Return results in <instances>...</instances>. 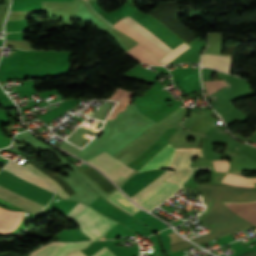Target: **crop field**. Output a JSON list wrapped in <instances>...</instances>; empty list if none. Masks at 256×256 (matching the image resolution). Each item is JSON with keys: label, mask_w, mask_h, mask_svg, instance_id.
Returning a JSON list of instances; mask_svg holds the SVG:
<instances>
[{"label": "crop field", "mask_w": 256, "mask_h": 256, "mask_svg": "<svg viewBox=\"0 0 256 256\" xmlns=\"http://www.w3.org/2000/svg\"><path fill=\"white\" fill-rule=\"evenodd\" d=\"M197 190L204 197L203 202L207 205V209L198 220L212 233L190 239L191 241L199 244L254 226L235 215L222 202L256 201V188L199 184Z\"/></svg>", "instance_id": "8a807250"}, {"label": "crop field", "mask_w": 256, "mask_h": 256, "mask_svg": "<svg viewBox=\"0 0 256 256\" xmlns=\"http://www.w3.org/2000/svg\"><path fill=\"white\" fill-rule=\"evenodd\" d=\"M3 170H5L11 174H14L22 179H25L31 183H34V184L54 193V190L50 186H48L46 183H44L42 180H40L34 174H32L25 168L15 164L11 161L3 168ZM0 198L4 199L12 204H15L23 209H26L34 214H37L40 210H42L44 208V206H42L38 203H35L27 198H24L18 194H15L1 186H0Z\"/></svg>", "instance_id": "ac0d7876"}, {"label": "crop field", "mask_w": 256, "mask_h": 256, "mask_svg": "<svg viewBox=\"0 0 256 256\" xmlns=\"http://www.w3.org/2000/svg\"><path fill=\"white\" fill-rule=\"evenodd\" d=\"M72 221L78 224L81 231L87 234L91 240L100 239L110 228L118 223L88 206Z\"/></svg>", "instance_id": "34b2d1b8"}, {"label": "crop field", "mask_w": 256, "mask_h": 256, "mask_svg": "<svg viewBox=\"0 0 256 256\" xmlns=\"http://www.w3.org/2000/svg\"><path fill=\"white\" fill-rule=\"evenodd\" d=\"M94 166L98 167L105 174H107L115 183L122 180L126 175L133 170L127 168L121 161L113 158L111 155L103 152L89 161Z\"/></svg>", "instance_id": "412701ff"}, {"label": "crop field", "mask_w": 256, "mask_h": 256, "mask_svg": "<svg viewBox=\"0 0 256 256\" xmlns=\"http://www.w3.org/2000/svg\"><path fill=\"white\" fill-rule=\"evenodd\" d=\"M121 21L125 22L126 24L133 27L135 30H137L139 33H141L144 37H146L149 41H151L153 44L158 46L160 49H162L167 54L160 59V62L163 65H166L171 60H173L175 57H177L179 54H181L183 51H185L188 46L186 43L181 44L180 46L176 47L175 49L169 48L167 45H165L162 41H160L158 38H156L154 35H152L150 32H148L144 27H142L139 23L132 20L128 16L120 19Z\"/></svg>", "instance_id": "f4fd0767"}, {"label": "crop field", "mask_w": 256, "mask_h": 256, "mask_svg": "<svg viewBox=\"0 0 256 256\" xmlns=\"http://www.w3.org/2000/svg\"><path fill=\"white\" fill-rule=\"evenodd\" d=\"M180 188H182V186L163 181L156 188H154L152 191H150L148 194L138 200L137 203L144 208L150 210L168 197H170Z\"/></svg>", "instance_id": "dd49c442"}, {"label": "crop field", "mask_w": 256, "mask_h": 256, "mask_svg": "<svg viewBox=\"0 0 256 256\" xmlns=\"http://www.w3.org/2000/svg\"><path fill=\"white\" fill-rule=\"evenodd\" d=\"M62 244L63 243L60 242L50 243L35 251L30 256H51ZM88 244L89 242L65 243L53 254V256H66L68 253L84 248Z\"/></svg>", "instance_id": "e52e79f7"}, {"label": "crop field", "mask_w": 256, "mask_h": 256, "mask_svg": "<svg viewBox=\"0 0 256 256\" xmlns=\"http://www.w3.org/2000/svg\"><path fill=\"white\" fill-rule=\"evenodd\" d=\"M113 26L121 30L122 32L126 33L127 35L131 36L133 39H135L137 42H139L141 45H143L145 48L151 51L158 59L166 54L162 50L157 48L155 45H153L151 42H149L137 31H135L133 28L124 24L123 22L118 20Z\"/></svg>", "instance_id": "d8731c3e"}, {"label": "crop field", "mask_w": 256, "mask_h": 256, "mask_svg": "<svg viewBox=\"0 0 256 256\" xmlns=\"http://www.w3.org/2000/svg\"><path fill=\"white\" fill-rule=\"evenodd\" d=\"M175 149L176 148H172L168 143L144 167H142L139 170V172L158 168V167H168Z\"/></svg>", "instance_id": "5a996713"}, {"label": "crop field", "mask_w": 256, "mask_h": 256, "mask_svg": "<svg viewBox=\"0 0 256 256\" xmlns=\"http://www.w3.org/2000/svg\"><path fill=\"white\" fill-rule=\"evenodd\" d=\"M233 212L256 225V202L251 203H224Z\"/></svg>", "instance_id": "3316defc"}, {"label": "crop field", "mask_w": 256, "mask_h": 256, "mask_svg": "<svg viewBox=\"0 0 256 256\" xmlns=\"http://www.w3.org/2000/svg\"><path fill=\"white\" fill-rule=\"evenodd\" d=\"M134 93L117 88L115 92L107 100H120L117 106L110 114L108 120L115 119L117 114L124 111L125 107L131 103Z\"/></svg>", "instance_id": "28ad6ade"}, {"label": "crop field", "mask_w": 256, "mask_h": 256, "mask_svg": "<svg viewBox=\"0 0 256 256\" xmlns=\"http://www.w3.org/2000/svg\"><path fill=\"white\" fill-rule=\"evenodd\" d=\"M24 212H11L0 208V232L7 233L15 227Z\"/></svg>", "instance_id": "d1516ede"}, {"label": "crop field", "mask_w": 256, "mask_h": 256, "mask_svg": "<svg viewBox=\"0 0 256 256\" xmlns=\"http://www.w3.org/2000/svg\"><path fill=\"white\" fill-rule=\"evenodd\" d=\"M230 59L231 57H228V56H216V55L203 54L201 64L222 69L229 72Z\"/></svg>", "instance_id": "22f410ed"}, {"label": "crop field", "mask_w": 256, "mask_h": 256, "mask_svg": "<svg viewBox=\"0 0 256 256\" xmlns=\"http://www.w3.org/2000/svg\"><path fill=\"white\" fill-rule=\"evenodd\" d=\"M28 170H30L32 173H34L35 175H37L38 177H40L42 180H44L45 182H47L49 185H51L55 191L63 198L67 199L69 197H71L70 195H68L65 190L62 188V186L57 183L55 180H53L51 177H49L48 175H46L44 172H42L40 169H38L37 167H35L33 164H31L30 162L26 165H24Z\"/></svg>", "instance_id": "cbeb9de0"}, {"label": "crop field", "mask_w": 256, "mask_h": 256, "mask_svg": "<svg viewBox=\"0 0 256 256\" xmlns=\"http://www.w3.org/2000/svg\"><path fill=\"white\" fill-rule=\"evenodd\" d=\"M139 45H135L125 53L139 62L151 65H160L154 56H152L148 51L143 49L144 47L142 48Z\"/></svg>", "instance_id": "5142ce71"}, {"label": "crop field", "mask_w": 256, "mask_h": 256, "mask_svg": "<svg viewBox=\"0 0 256 256\" xmlns=\"http://www.w3.org/2000/svg\"><path fill=\"white\" fill-rule=\"evenodd\" d=\"M106 199L132 215L140 210L135 207L119 190Z\"/></svg>", "instance_id": "d9b57169"}, {"label": "crop field", "mask_w": 256, "mask_h": 256, "mask_svg": "<svg viewBox=\"0 0 256 256\" xmlns=\"http://www.w3.org/2000/svg\"><path fill=\"white\" fill-rule=\"evenodd\" d=\"M222 183L234 186L255 187L253 183H256V177H245L227 173Z\"/></svg>", "instance_id": "733c2abd"}, {"label": "crop field", "mask_w": 256, "mask_h": 256, "mask_svg": "<svg viewBox=\"0 0 256 256\" xmlns=\"http://www.w3.org/2000/svg\"><path fill=\"white\" fill-rule=\"evenodd\" d=\"M41 1H73V0H13L11 10L42 9Z\"/></svg>", "instance_id": "4a817a6b"}, {"label": "crop field", "mask_w": 256, "mask_h": 256, "mask_svg": "<svg viewBox=\"0 0 256 256\" xmlns=\"http://www.w3.org/2000/svg\"><path fill=\"white\" fill-rule=\"evenodd\" d=\"M172 171L166 170L160 177H158L156 180H154L152 183H150L148 186H146L144 189H142L139 193H137L135 196L131 197L135 201L140 199L142 196H144L147 192H149L151 189H153L156 185H158L160 182H162L165 178H167Z\"/></svg>", "instance_id": "bc2a9ffb"}, {"label": "crop field", "mask_w": 256, "mask_h": 256, "mask_svg": "<svg viewBox=\"0 0 256 256\" xmlns=\"http://www.w3.org/2000/svg\"><path fill=\"white\" fill-rule=\"evenodd\" d=\"M204 83L208 94H211L221 87L227 85L224 80L204 81Z\"/></svg>", "instance_id": "214f88e0"}, {"label": "crop field", "mask_w": 256, "mask_h": 256, "mask_svg": "<svg viewBox=\"0 0 256 256\" xmlns=\"http://www.w3.org/2000/svg\"><path fill=\"white\" fill-rule=\"evenodd\" d=\"M68 256H85V255L83 253H81L80 251H75V252H72L71 254H69ZM92 256H115V255L112 254L108 249H106L104 247L97 253L93 254Z\"/></svg>", "instance_id": "92a150f3"}, {"label": "crop field", "mask_w": 256, "mask_h": 256, "mask_svg": "<svg viewBox=\"0 0 256 256\" xmlns=\"http://www.w3.org/2000/svg\"><path fill=\"white\" fill-rule=\"evenodd\" d=\"M86 205L78 203L65 217L73 219L79 212H81Z\"/></svg>", "instance_id": "dafd665d"}, {"label": "crop field", "mask_w": 256, "mask_h": 256, "mask_svg": "<svg viewBox=\"0 0 256 256\" xmlns=\"http://www.w3.org/2000/svg\"><path fill=\"white\" fill-rule=\"evenodd\" d=\"M213 162H214V166H215L216 171L227 172V170L229 168L228 161H213Z\"/></svg>", "instance_id": "00972430"}, {"label": "crop field", "mask_w": 256, "mask_h": 256, "mask_svg": "<svg viewBox=\"0 0 256 256\" xmlns=\"http://www.w3.org/2000/svg\"><path fill=\"white\" fill-rule=\"evenodd\" d=\"M190 246H194V245L187 241H183V242H179V243L170 245L172 252L177 251L182 248L190 247Z\"/></svg>", "instance_id": "a9b5d70f"}]
</instances>
